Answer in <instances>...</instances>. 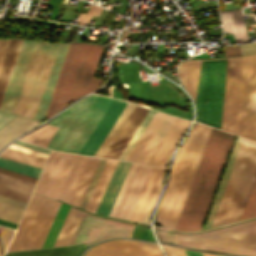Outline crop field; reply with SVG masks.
Segmentation results:
<instances>
[{
    "instance_id": "1",
    "label": "crop field",
    "mask_w": 256,
    "mask_h": 256,
    "mask_svg": "<svg viewBox=\"0 0 256 256\" xmlns=\"http://www.w3.org/2000/svg\"><path fill=\"white\" fill-rule=\"evenodd\" d=\"M226 64L200 61L197 87V120L220 129ZM222 129L256 141V54L228 58Z\"/></svg>"
},
{
    "instance_id": "2",
    "label": "crop field",
    "mask_w": 256,
    "mask_h": 256,
    "mask_svg": "<svg viewBox=\"0 0 256 256\" xmlns=\"http://www.w3.org/2000/svg\"><path fill=\"white\" fill-rule=\"evenodd\" d=\"M234 137L212 129L176 229L202 228Z\"/></svg>"
},
{
    "instance_id": "3",
    "label": "crop field",
    "mask_w": 256,
    "mask_h": 256,
    "mask_svg": "<svg viewBox=\"0 0 256 256\" xmlns=\"http://www.w3.org/2000/svg\"><path fill=\"white\" fill-rule=\"evenodd\" d=\"M211 129L196 122L179 148L158 208L157 225L176 228Z\"/></svg>"
},
{
    "instance_id": "4",
    "label": "crop field",
    "mask_w": 256,
    "mask_h": 256,
    "mask_svg": "<svg viewBox=\"0 0 256 256\" xmlns=\"http://www.w3.org/2000/svg\"><path fill=\"white\" fill-rule=\"evenodd\" d=\"M256 176V143L238 138L206 227L241 218Z\"/></svg>"
},
{
    "instance_id": "5",
    "label": "crop field",
    "mask_w": 256,
    "mask_h": 256,
    "mask_svg": "<svg viewBox=\"0 0 256 256\" xmlns=\"http://www.w3.org/2000/svg\"><path fill=\"white\" fill-rule=\"evenodd\" d=\"M102 48L84 43L70 44L44 119L101 83L102 79L93 76Z\"/></svg>"
},
{
    "instance_id": "6",
    "label": "crop field",
    "mask_w": 256,
    "mask_h": 256,
    "mask_svg": "<svg viewBox=\"0 0 256 256\" xmlns=\"http://www.w3.org/2000/svg\"><path fill=\"white\" fill-rule=\"evenodd\" d=\"M112 101L92 95L50 120L47 124L59 128L48 148L79 153Z\"/></svg>"
},
{
    "instance_id": "7",
    "label": "crop field",
    "mask_w": 256,
    "mask_h": 256,
    "mask_svg": "<svg viewBox=\"0 0 256 256\" xmlns=\"http://www.w3.org/2000/svg\"><path fill=\"white\" fill-rule=\"evenodd\" d=\"M174 243L256 256V220L200 234L174 233Z\"/></svg>"
},
{
    "instance_id": "8",
    "label": "crop field",
    "mask_w": 256,
    "mask_h": 256,
    "mask_svg": "<svg viewBox=\"0 0 256 256\" xmlns=\"http://www.w3.org/2000/svg\"><path fill=\"white\" fill-rule=\"evenodd\" d=\"M52 151L34 192L69 201L88 157Z\"/></svg>"
},
{
    "instance_id": "9",
    "label": "crop field",
    "mask_w": 256,
    "mask_h": 256,
    "mask_svg": "<svg viewBox=\"0 0 256 256\" xmlns=\"http://www.w3.org/2000/svg\"><path fill=\"white\" fill-rule=\"evenodd\" d=\"M60 204L33 194L7 251L41 248Z\"/></svg>"
},
{
    "instance_id": "10",
    "label": "crop field",
    "mask_w": 256,
    "mask_h": 256,
    "mask_svg": "<svg viewBox=\"0 0 256 256\" xmlns=\"http://www.w3.org/2000/svg\"><path fill=\"white\" fill-rule=\"evenodd\" d=\"M58 45L39 42L14 114L34 118Z\"/></svg>"
},
{
    "instance_id": "11",
    "label": "crop field",
    "mask_w": 256,
    "mask_h": 256,
    "mask_svg": "<svg viewBox=\"0 0 256 256\" xmlns=\"http://www.w3.org/2000/svg\"><path fill=\"white\" fill-rule=\"evenodd\" d=\"M155 111L135 105L103 157L125 160Z\"/></svg>"
},
{
    "instance_id": "12",
    "label": "crop field",
    "mask_w": 256,
    "mask_h": 256,
    "mask_svg": "<svg viewBox=\"0 0 256 256\" xmlns=\"http://www.w3.org/2000/svg\"><path fill=\"white\" fill-rule=\"evenodd\" d=\"M135 225L92 216L84 212L70 242H87V247L112 237H130Z\"/></svg>"
},
{
    "instance_id": "13",
    "label": "crop field",
    "mask_w": 256,
    "mask_h": 256,
    "mask_svg": "<svg viewBox=\"0 0 256 256\" xmlns=\"http://www.w3.org/2000/svg\"><path fill=\"white\" fill-rule=\"evenodd\" d=\"M38 42L22 40L0 103V111L14 113Z\"/></svg>"
},
{
    "instance_id": "14",
    "label": "crop field",
    "mask_w": 256,
    "mask_h": 256,
    "mask_svg": "<svg viewBox=\"0 0 256 256\" xmlns=\"http://www.w3.org/2000/svg\"><path fill=\"white\" fill-rule=\"evenodd\" d=\"M151 168L131 164L109 215L129 219Z\"/></svg>"
},
{
    "instance_id": "15",
    "label": "crop field",
    "mask_w": 256,
    "mask_h": 256,
    "mask_svg": "<svg viewBox=\"0 0 256 256\" xmlns=\"http://www.w3.org/2000/svg\"><path fill=\"white\" fill-rule=\"evenodd\" d=\"M165 169L153 167L129 220L150 223Z\"/></svg>"
},
{
    "instance_id": "16",
    "label": "crop field",
    "mask_w": 256,
    "mask_h": 256,
    "mask_svg": "<svg viewBox=\"0 0 256 256\" xmlns=\"http://www.w3.org/2000/svg\"><path fill=\"white\" fill-rule=\"evenodd\" d=\"M156 247L160 255L163 256L158 245ZM156 247L152 244L134 241H118L92 247L93 249L91 248L92 250L86 256H160Z\"/></svg>"
},
{
    "instance_id": "17",
    "label": "crop field",
    "mask_w": 256,
    "mask_h": 256,
    "mask_svg": "<svg viewBox=\"0 0 256 256\" xmlns=\"http://www.w3.org/2000/svg\"><path fill=\"white\" fill-rule=\"evenodd\" d=\"M126 105L127 102L114 99L80 153L94 155Z\"/></svg>"
},
{
    "instance_id": "18",
    "label": "crop field",
    "mask_w": 256,
    "mask_h": 256,
    "mask_svg": "<svg viewBox=\"0 0 256 256\" xmlns=\"http://www.w3.org/2000/svg\"><path fill=\"white\" fill-rule=\"evenodd\" d=\"M190 123L189 121L176 118L148 164L164 166L169 154L176 148Z\"/></svg>"
},
{
    "instance_id": "19",
    "label": "crop field",
    "mask_w": 256,
    "mask_h": 256,
    "mask_svg": "<svg viewBox=\"0 0 256 256\" xmlns=\"http://www.w3.org/2000/svg\"><path fill=\"white\" fill-rule=\"evenodd\" d=\"M69 44L70 43H65V44L59 45V48H58L54 63L52 65V68H51L41 101L39 103V106H38V109H37V112H36V115L34 118L36 120L42 121L44 118L45 112L47 110V107H48L52 92L54 90L59 72L61 70L66 52L68 50Z\"/></svg>"
},
{
    "instance_id": "20",
    "label": "crop field",
    "mask_w": 256,
    "mask_h": 256,
    "mask_svg": "<svg viewBox=\"0 0 256 256\" xmlns=\"http://www.w3.org/2000/svg\"><path fill=\"white\" fill-rule=\"evenodd\" d=\"M131 163L119 161L95 213L108 215Z\"/></svg>"
},
{
    "instance_id": "21",
    "label": "crop field",
    "mask_w": 256,
    "mask_h": 256,
    "mask_svg": "<svg viewBox=\"0 0 256 256\" xmlns=\"http://www.w3.org/2000/svg\"><path fill=\"white\" fill-rule=\"evenodd\" d=\"M220 15L224 32L232 33L235 40H242V42L250 41L241 9L220 12Z\"/></svg>"
},
{
    "instance_id": "22",
    "label": "crop field",
    "mask_w": 256,
    "mask_h": 256,
    "mask_svg": "<svg viewBox=\"0 0 256 256\" xmlns=\"http://www.w3.org/2000/svg\"><path fill=\"white\" fill-rule=\"evenodd\" d=\"M20 41L21 40H11V42L10 41H0V67H1L2 61L4 59L7 47L10 42V45L8 47L5 59L3 61V64H2V67L0 70V99L2 97L8 76L10 74Z\"/></svg>"
},
{
    "instance_id": "23",
    "label": "crop field",
    "mask_w": 256,
    "mask_h": 256,
    "mask_svg": "<svg viewBox=\"0 0 256 256\" xmlns=\"http://www.w3.org/2000/svg\"><path fill=\"white\" fill-rule=\"evenodd\" d=\"M38 123L35 120L16 116L0 129V149L11 139L24 133Z\"/></svg>"
},
{
    "instance_id": "24",
    "label": "crop field",
    "mask_w": 256,
    "mask_h": 256,
    "mask_svg": "<svg viewBox=\"0 0 256 256\" xmlns=\"http://www.w3.org/2000/svg\"><path fill=\"white\" fill-rule=\"evenodd\" d=\"M199 60H187L180 63L178 74L184 88L195 100Z\"/></svg>"
},
{
    "instance_id": "25",
    "label": "crop field",
    "mask_w": 256,
    "mask_h": 256,
    "mask_svg": "<svg viewBox=\"0 0 256 256\" xmlns=\"http://www.w3.org/2000/svg\"><path fill=\"white\" fill-rule=\"evenodd\" d=\"M99 161L100 160L97 159H88L85 168L81 174V177L77 183V186L73 192V195L69 201L70 203H73L78 206L80 205Z\"/></svg>"
},
{
    "instance_id": "26",
    "label": "crop field",
    "mask_w": 256,
    "mask_h": 256,
    "mask_svg": "<svg viewBox=\"0 0 256 256\" xmlns=\"http://www.w3.org/2000/svg\"><path fill=\"white\" fill-rule=\"evenodd\" d=\"M164 117H165V114L156 112V114L150 121L149 125L147 126V128L145 129V131L143 132V134L141 135V137L133 147L132 151L126 158L127 161L136 162V160L140 156L141 152L149 142L150 138L152 137V135L154 134V132L156 131V129L158 128V126L160 125Z\"/></svg>"
},
{
    "instance_id": "27",
    "label": "crop field",
    "mask_w": 256,
    "mask_h": 256,
    "mask_svg": "<svg viewBox=\"0 0 256 256\" xmlns=\"http://www.w3.org/2000/svg\"><path fill=\"white\" fill-rule=\"evenodd\" d=\"M107 161V160H106ZM118 161H113V160H108L105 167H104V170L99 178V181L95 187V190L90 198V201L86 207V210L88 211H91V212H95L96 208H97V205L102 197V194L107 186V183L113 173V170L116 166Z\"/></svg>"
},
{
    "instance_id": "28",
    "label": "crop field",
    "mask_w": 256,
    "mask_h": 256,
    "mask_svg": "<svg viewBox=\"0 0 256 256\" xmlns=\"http://www.w3.org/2000/svg\"><path fill=\"white\" fill-rule=\"evenodd\" d=\"M174 120H175V117L166 115V117L162 121L161 125L159 126V128L157 129L155 134L153 135L152 139L150 140V142L148 143V145L142 152L141 156L137 160L138 163L147 164L150 157L156 150L157 146L159 145V143L165 136L166 132L168 131V129L170 128V126L172 125Z\"/></svg>"
},
{
    "instance_id": "29",
    "label": "crop field",
    "mask_w": 256,
    "mask_h": 256,
    "mask_svg": "<svg viewBox=\"0 0 256 256\" xmlns=\"http://www.w3.org/2000/svg\"><path fill=\"white\" fill-rule=\"evenodd\" d=\"M82 213L80 210L70 208L54 246L69 243Z\"/></svg>"
},
{
    "instance_id": "30",
    "label": "crop field",
    "mask_w": 256,
    "mask_h": 256,
    "mask_svg": "<svg viewBox=\"0 0 256 256\" xmlns=\"http://www.w3.org/2000/svg\"><path fill=\"white\" fill-rule=\"evenodd\" d=\"M56 130L57 127L45 124L20 139L47 147Z\"/></svg>"
},
{
    "instance_id": "31",
    "label": "crop field",
    "mask_w": 256,
    "mask_h": 256,
    "mask_svg": "<svg viewBox=\"0 0 256 256\" xmlns=\"http://www.w3.org/2000/svg\"><path fill=\"white\" fill-rule=\"evenodd\" d=\"M0 156L17 160L30 165H34L37 167H41V168L43 167L46 161L45 158L38 157L29 153H25L16 149L9 148V147H7L4 151H2L0 153Z\"/></svg>"
},
{
    "instance_id": "32",
    "label": "crop field",
    "mask_w": 256,
    "mask_h": 256,
    "mask_svg": "<svg viewBox=\"0 0 256 256\" xmlns=\"http://www.w3.org/2000/svg\"><path fill=\"white\" fill-rule=\"evenodd\" d=\"M34 185V183L0 174V187L2 188H6L30 196Z\"/></svg>"
},
{
    "instance_id": "33",
    "label": "crop field",
    "mask_w": 256,
    "mask_h": 256,
    "mask_svg": "<svg viewBox=\"0 0 256 256\" xmlns=\"http://www.w3.org/2000/svg\"><path fill=\"white\" fill-rule=\"evenodd\" d=\"M68 209H69V206H67V205H65L63 203L61 204V206L59 208V211H58V213H57V215L55 217V220H54V222L52 224V227H51V229L49 231V234L47 233L48 236H47V238L45 240V243L43 242L44 245H43L42 248L50 247V246L53 245V243H54V241L56 239V236H57V234H58V232H59V230L61 228V225H62V223L64 221V218L66 216V213H67Z\"/></svg>"
},
{
    "instance_id": "34",
    "label": "crop field",
    "mask_w": 256,
    "mask_h": 256,
    "mask_svg": "<svg viewBox=\"0 0 256 256\" xmlns=\"http://www.w3.org/2000/svg\"><path fill=\"white\" fill-rule=\"evenodd\" d=\"M133 107H134V104L128 103V105L126 106V108L124 109V111L122 112V114L120 115V117L118 118L114 126L112 127L111 131L109 132V134L107 135V137L105 138V140L103 141V143L101 144L97 152L95 153L96 156H100V157L102 156V154L110 144L111 140L113 139V137L115 136V134L117 133V131L119 130V128L121 127V125L123 124V122L125 121V119L127 118L128 114L130 113Z\"/></svg>"
},
{
    "instance_id": "35",
    "label": "crop field",
    "mask_w": 256,
    "mask_h": 256,
    "mask_svg": "<svg viewBox=\"0 0 256 256\" xmlns=\"http://www.w3.org/2000/svg\"><path fill=\"white\" fill-rule=\"evenodd\" d=\"M0 167L10 169L16 172L27 174L33 177H39L41 169L31 167L19 162H15L6 158L0 157Z\"/></svg>"
},
{
    "instance_id": "36",
    "label": "crop field",
    "mask_w": 256,
    "mask_h": 256,
    "mask_svg": "<svg viewBox=\"0 0 256 256\" xmlns=\"http://www.w3.org/2000/svg\"><path fill=\"white\" fill-rule=\"evenodd\" d=\"M23 211V209L0 203V219L2 220L17 224Z\"/></svg>"
},
{
    "instance_id": "37",
    "label": "crop field",
    "mask_w": 256,
    "mask_h": 256,
    "mask_svg": "<svg viewBox=\"0 0 256 256\" xmlns=\"http://www.w3.org/2000/svg\"><path fill=\"white\" fill-rule=\"evenodd\" d=\"M251 216H256V179L241 219Z\"/></svg>"
},
{
    "instance_id": "38",
    "label": "crop field",
    "mask_w": 256,
    "mask_h": 256,
    "mask_svg": "<svg viewBox=\"0 0 256 256\" xmlns=\"http://www.w3.org/2000/svg\"><path fill=\"white\" fill-rule=\"evenodd\" d=\"M105 162H106V160H104V159L101 160V162H100V164H99V166L97 168V171H96V173H95V175H94V177H93V179L91 181V184H90V186H89V188H88V190L86 192V195H85V197H84V199H83V201H82L80 206H82L84 208L86 207V205H87V203L89 201V198H90V196H91V194H92V192L94 190V187H95V185H96V183L98 181V178H99V176L101 174V171H102V169H103V167L105 165Z\"/></svg>"
},
{
    "instance_id": "39",
    "label": "crop field",
    "mask_w": 256,
    "mask_h": 256,
    "mask_svg": "<svg viewBox=\"0 0 256 256\" xmlns=\"http://www.w3.org/2000/svg\"><path fill=\"white\" fill-rule=\"evenodd\" d=\"M167 256H215L214 254H208V253H199L191 250H181V249H176V248H168V247H163Z\"/></svg>"
},
{
    "instance_id": "40",
    "label": "crop field",
    "mask_w": 256,
    "mask_h": 256,
    "mask_svg": "<svg viewBox=\"0 0 256 256\" xmlns=\"http://www.w3.org/2000/svg\"><path fill=\"white\" fill-rule=\"evenodd\" d=\"M101 11H102V8L92 4L88 13L87 14L81 13L76 23L88 25L92 15L99 16Z\"/></svg>"
},
{
    "instance_id": "41",
    "label": "crop field",
    "mask_w": 256,
    "mask_h": 256,
    "mask_svg": "<svg viewBox=\"0 0 256 256\" xmlns=\"http://www.w3.org/2000/svg\"><path fill=\"white\" fill-rule=\"evenodd\" d=\"M13 233L14 230L3 227L0 233V256L3 255Z\"/></svg>"
},
{
    "instance_id": "42",
    "label": "crop field",
    "mask_w": 256,
    "mask_h": 256,
    "mask_svg": "<svg viewBox=\"0 0 256 256\" xmlns=\"http://www.w3.org/2000/svg\"><path fill=\"white\" fill-rule=\"evenodd\" d=\"M0 202L6 203L9 205H13V206H16L19 208H23V209L25 208V206L27 204L26 202H22V201L15 200V199L8 198V197L1 196V195H0Z\"/></svg>"
},
{
    "instance_id": "43",
    "label": "crop field",
    "mask_w": 256,
    "mask_h": 256,
    "mask_svg": "<svg viewBox=\"0 0 256 256\" xmlns=\"http://www.w3.org/2000/svg\"><path fill=\"white\" fill-rule=\"evenodd\" d=\"M0 194L8 196V197L15 198V199H19V200H22V201H26V202L29 199V196H25V195L15 193V192H12V191H9V190H5V189H2V188H0Z\"/></svg>"
},
{
    "instance_id": "44",
    "label": "crop field",
    "mask_w": 256,
    "mask_h": 256,
    "mask_svg": "<svg viewBox=\"0 0 256 256\" xmlns=\"http://www.w3.org/2000/svg\"><path fill=\"white\" fill-rule=\"evenodd\" d=\"M13 144H17V145H20V146H23V147H27V148H30V149H33V150H37V151H40V152H43V153H49L50 150L48 149H45V148H42V147H39V146H36V145H32V144H29V143H26V142H23V141H20V140H16L15 142H13Z\"/></svg>"
},
{
    "instance_id": "45",
    "label": "crop field",
    "mask_w": 256,
    "mask_h": 256,
    "mask_svg": "<svg viewBox=\"0 0 256 256\" xmlns=\"http://www.w3.org/2000/svg\"><path fill=\"white\" fill-rule=\"evenodd\" d=\"M225 57L241 55L239 46L223 47Z\"/></svg>"
},
{
    "instance_id": "46",
    "label": "crop field",
    "mask_w": 256,
    "mask_h": 256,
    "mask_svg": "<svg viewBox=\"0 0 256 256\" xmlns=\"http://www.w3.org/2000/svg\"><path fill=\"white\" fill-rule=\"evenodd\" d=\"M242 55L256 52V43L240 46Z\"/></svg>"
},
{
    "instance_id": "47",
    "label": "crop field",
    "mask_w": 256,
    "mask_h": 256,
    "mask_svg": "<svg viewBox=\"0 0 256 256\" xmlns=\"http://www.w3.org/2000/svg\"><path fill=\"white\" fill-rule=\"evenodd\" d=\"M9 147H12V148H16V149H19V150H22V151H26V152H29V153H32V154H36V155H39V156H42V157H46L47 158V154H43V153H40V152H37V151H33V150H30V149H27V148H23V147H20V146H17V145H9Z\"/></svg>"
},
{
    "instance_id": "48",
    "label": "crop field",
    "mask_w": 256,
    "mask_h": 256,
    "mask_svg": "<svg viewBox=\"0 0 256 256\" xmlns=\"http://www.w3.org/2000/svg\"><path fill=\"white\" fill-rule=\"evenodd\" d=\"M13 117H15L14 115H10V114H5V113H1L0 112V128L6 124L8 121H10ZM14 119V118H13ZM5 126V125H4Z\"/></svg>"
},
{
    "instance_id": "49",
    "label": "crop field",
    "mask_w": 256,
    "mask_h": 256,
    "mask_svg": "<svg viewBox=\"0 0 256 256\" xmlns=\"http://www.w3.org/2000/svg\"><path fill=\"white\" fill-rule=\"evenodd\" d=\"M0 225L6 226V227H9V228H13V229H15V227H16V224H12V223L2 221V220H0Z\"/></svg>"
},
{
    "instance_id": "50",
    "label": "crop field",
    "mask_w": 256,
    "mask_h": 256,
    "mask_svg": "<svg viewBox=\"0 0 256 256\" xmlns=\"http://www.w3.org/2000/svg\"><path fill=\"white\" fill-rule=\"evenodd\" d=\"M2 226H0V230H1Z\"/></svg>"
},
{
    "instance_id": "51",
    "label": "crop field",
    "mask_w": 256,
    "mask_h": 256,
    "mask_svg": "<svg viewBox=\"0 0 256 256\" xmlns=\"http://www.w3.org/2000/svg\"><path fill=\"white\" fill-rule=\"evenodd\" d=\"M216 255V254H215ZM216 256H221V255H216Z\"/></svg>"
}]
</instances>
